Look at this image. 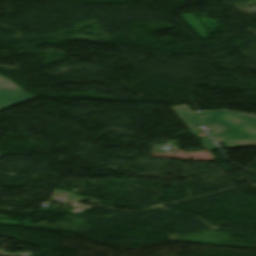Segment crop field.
Here are the masks:
<instances>
[{"mask_svg":"<svg viewBox=\"0 0 256 256\" xmlns=\"http://www.w3.org/2000/svg\"><path fill=\"white\" fill-rule=\"evenodd\" d=\"M199 141L207 151L218 148L209 137L199 139Z\"/></svg>","mask_w":256,"mask_h":256,"instance_id":"crop-field-3","label":"crop field"},{"mask_svg":"<svg viewBox=\"0 0 256 256\" xmlns=\"http://www.w3.org/2000/svg\"><path fill=\"white\" fill-rule=\"evenodd\" d=\"M33 98L0 76V111Z\"/></svg>","mask_w":256,"mask_h":256,"instance_id":"crop-field-2","label":"crop field"},{"mask_svg":"<svg viewBox=\"0 0 256 256\" xmlns=\"http://www.w3.org/2000/svg\"><path fill=\"white\" fill-rule=\"evenodd\" d=\"M188 127L204 124L207 133L227 147L256 146V117L228 110L191 112L187 106L171 107Z\"/></svg>","mask_w":256,"mask_h":256,"instance_id":"crop-field-1","label":"crop field"}]
</instances>
